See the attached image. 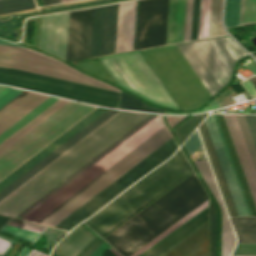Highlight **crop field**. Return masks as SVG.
Returning a JSON list of instances; mask_svg holds the SVG:
<instances>
[{
    "label": "crop field",
    "instance_id": "crop-field-1",
    "mask_svg": "<svg viewBox=\"0 0 256 256\" xmlns=\"http://www.w3.org/2000/svg\"><path fill=\"white\" fill-rule=\"evenodd\" d=\"M147 116L149 115L119 111L1 200L0 213L16 217ZM154 117L156 116L147 117L17 217L25 216Z\"/></svg>",
    "mask_w": 256,
    "mask_h": 256
},
{
    "label": "crop field",
    "instance_id": "crop-field-2",
    "mask_svg": "<svg viewBox=\"0 0 256 256\" xmlns=\"http://www.w3.org/2000/svg\"><path fill=\"white\" fill-rule=\"evenodd\" d=\"M163 126L161 116H157L23 219L37 222ZM170 138L164 126L38 223L54 227Z\"/></svg>",
    "mask_w": 256,
    "mask_h": 256
},
{
    "label": "crop field",
    "instance_id": "crop-field-3",
    "mask_svg": "<svg viewBox=\"0 0 256 256\" xmlns=\"http://www.w3.org/2000/svg\"><path fill=\"white\" fill-rule=\"evenodd\" d=\"M0 66L24 70L112 91H120L119 89L91 78L50 56L33 50L0 46ZM1 67L0 83L106 107H117L119 98V93L117 92Z\"/></svg>",
    "mask_w": 256,
    "mask_h": 256
},
{
    "label": "crop field",
    "instance_id": "crop-field-4",
    "mask_svg": "<svg viewBox=\"0 0 256 256\" xmlns=\"http://www.w3.org/2000/svg\"><path fill=\"white\" fill-rule=\"evenodd\" d=\"M207 198L193 173L103 239L129 256Z\"/></svg>",
    "mask_w": 256,
    "mask_h": 256
},
{
    "label": "crop field",
    "instance_id": "crop-field-5",
    "mask_svg": "<svg viewBox=\"0 0 256 256\" xmlns=\"http://www.w3.org/2000/svg\"><path fill=\"white\" fill-rule=\"evenodd\" d=\"M190 172L192 171L179 150L165 164L84 223L102 237Z\"/></svg>",
    "mask_w": 256,
    "mask_h": 256
},
{
    "label": "crop field",
    "instance_id": "crop-field-6",
    "mask_svg": "<svg viewBox=\"0 0 256 256\" xmlns=\"http://www.w3.org/2000/svg\"><path fill=\"white\" fill-rule=\"evenodd\" d=\"M118 86L158 105L180 110L140 51L99 57Z\"/></svg>",
    "mask_w": 256,
    "mask_h": 256
},
{
    "label": "crop field",
    "instance_id": "crop-field-7",
    "mask_svg": "<svg viewBox=\"0 0 256 256\" xmlns=\"http://www.w3.org/2000/svg\"><path fill=\"white\" fill-rule=\"evenodd\" d=\"M94 106L69 101L0 154V179L91 111Z\"/></svg>",
    "mask_w": 256,
    "mask_h": 256
},
{
    "label": "crop field",
    "instance_id": "crop-field-8",
    "mask_svg": "<svg viewBox=\"0 0 256 256\" xmlns=\"http://www.w3.org/2000/svg\"><path fill=\"white\" fill-rule=\"evenodd\" d=\"M215 94L230 80L236 61L248 55L229 36L181 43Z\"/></svg>",
    "mask_w": 256,
    "mask_h": 256
},
{
    "label": "crop field",
    "instance_id": "crop-field-9",
    "mask_svg": "<svg viewBox=\"0 0 256 256\" xmlns=\"http://www.w3.org/2000/svg\"><path fill=\"white\" fill-rule=\"evenodd\" d=\"M169 0H142L135 49L165 44ZM177 0L169 1L166 44L173 43ZM185 0H178L174 43L182 41Z\"/></svg>",
    "mask_w": 256,
    "mask_h": 256
},
{
    "label": "crop field",
    "instance_id": "crop-field-10",
    "mask_svg": "<svg viewBox=\"0 0 256 256\" xmlns=\"http://www.w3.org/2000/svg\"><path fill=\"white\" fill-rule=\"evenodd\" d=\"M176 148L177 145L171 138L55 227L71 229L72 226L95 213L148 171L157 167L172 155Z\"/></svg>",
    "mask_w": 256,
    "mask_h": 256
},
{
    "label": "crop field",
    "instance_id": "crop-field-11",
    "mask_svg": "<svg viewBox=\"0 0 256 256\" xmlns=\"http://www.w3.org/2000/svg\"><path fill=\"white\" fill-rule=\"evenodd\" d=\"M94 8L70 12L66 59L89 57Z\"/></svg>",
    "mask_w": 256,
    "mask_h": 256
},
{
    "label": "crop field",
    "instance_id": "crop-field-12",
    "mask_svg": "<svg viewBox=\"0 0 256 256\" xmlns=\"http://www.w3.org/2000/svg\"><path fill=\"white\" fill-rule=\"evenodd\" d=\"M117 8L118 4L95 8L90 57L113 53Z\"/></svg>",
    "mask_w": 256,
    "mask_h": 256
},
{
    "label": "crop field",
    "instance_id": "crop-field-13",
    "mask_svg": "<svg viewBox=\"0 0 256 256\" xmlns=\"http://www.w3.org/2000/svg\"><path fill=\"white\" fill-rule=\"evenodd\" d=\"M69 12L43 17L40 48L65 59ZM40 49V50H41Z\"/></svg>",
    "mask_w": 256,
    "mask_h": 256
},
{
    "label": "crop field",
    "instance_id": "crop-field-14",
    "mask_svg": "<svg viewBox=\"0 0 256 256\" xmlns=\"http://www.w3.org/2000/svg\"><path fill=\"white\" fill-rule=\"evenodd\" d=\"M116 112L118 111L108 109L99 117H97L94 121H92L90 124L84 127L81 131H79L77 134L71 137L68 141H66L64 144L58 147L55 151H53L51 154L45 157L42 161H40L38 164L32 167L29 171H27L25 174H23L13 183L7 186L5 189H3L0 192V200L7 196L9 193H11L13 190H15L17 187H19L22 183H24L26 180H28L42 168H44L46 165H48L50 162H52L55 158H57L59 155H61L63 152H65L67 149H69L71 146L77 143L79 140H81L83 137H85L88 133H90L92 130H94L96 127H98L108 118H110Z\"/></svg>",
    "mask_w": 256,
    "mask_h": 256
},
{
    "label": "crop field",
    "instance_id": "crop-field-15",
    "mask_svg": "<svg viewBox=\"0 0 256 256\" xmlns=\"http://www.w3.org/2000/svg\"><path fill=\"white\" fill-rule=\"evenodd\" d=\"M105 110L107 109L101 108V107H98L97 109H95L85 118H83L81 121L75 124L72 128H70L68 131H66L64 134H62L60 137H58L56 140L50 143L47 147H45L43 150H41L39 153H37L35 156H33L23 165H21L18 169H16L14 172H12L6 178L0 181V191L3 188H5L7 185H9L11 182H13L15 179H17L19 176H21L23 173H25L27 170H29L32 166H34L40 160H42L45 156H47L53 150H55L58 146H60L62 143L68 140L71 136H73L75 133L81 130L84 126H86L88 123L94 120L97 116H99Z\"/></svg>",
    "mask_w": 256,
    "mask_h": 256
},
{
    "label": "crop field",
    "instance_id": "crop-field-16",
    "mask_svg": "<svg viewBox=\"0 0 256 256\" xmlns=\"http://www.w3.org/2000/svg\"><path fill=\"white\" fill-rule=\"evenodd\" d=\"M158 256H207V220Z\"/></svg>",
    "mask_w": 256,
    "mask_h": 256
},
{
    "label": "crop field",
    "instance_id": "crop-field-17",
    "mask_svg": "<svg viewBox=\"0 0 256 256\" xmlns=\"http://www.w3.org/2000/svg\"><path fill=\"white\" fill-rule=\"evenodd\" d=\"M48 96L24 91L0 108V133L34 109Z\"/></svg>",
    "mask_w": 256,
    "mask_h": 256
},
{
    "label": "crop field",
    "instance_id": "crop-field-18",
    "mask_svg": "<svg viewBox=\"0 0 256 256\" xmlns=\"http://www.w3.org/2000/svg\"><path fill=\"white\" fill-rule=\"evenodd\" d=\"M212 142L214 144L218 159L220 161L224 176L231 192L235 207L239 216H248L244 207L240 192L238 190L234 175L232 173L228 158L226 156L222 141L220 139L213 116L209 115L205 120Z\"/></svg>",
    "mask_w": 256,
    "mask_h": 256
},
{
    "label": "crop field",
    "instance_id": "crop-field-19",
    "mask_svg": "<svg viewBox=\"0 0 256 256\" xmlns=\"http://www.w3.org/2000/svg\"><path fill=\"white\" fill-rule=\"evenodd\" d=\"M137 1L119 4L114 53L132 49Z\"/></svg>",
    "mask_w": 256,
    "mask_h": 256
},
{
    "label": "crop field",
    "instance_id": "crop-field-20",
    "mask_svg": "<svg viewBox=\"0 0 256 256\" xmlns=\"http://www.w3.org/2000/svg\"><path fill=\"white\" fill-rule=\"evenodd\" d=\"M256 206V175L234 115H223Z\"/></svg>",
    "mask_w": 256,
    "mask_h": 256
},
{
    "label": "crop field",
    "instance_id": "crop-field-21",
    "mask_svg": "<svg viewBox=\"0 0 256 256\" xmlns=\"http://www.w3.org/2000/svg\"><path fill=\"white\" fill-rule=\"evenodd\" d=\"M194 164L197 167L200 174L202 175L209 189L213 193L214 197L216 198L222 210V216H223L222 256H230L231 251L236 243V239L233 234L232 228L230 226L229 220L227 218L225 209L223 207L208 161L207 160L196 161L194 162Z\"/></svg>",
    "mask_w": 256,
    "mask_h": 256
},
{
    "label": "crop field",
    "instance_id": "crop-field-22",
    "mask_svg": "<svg viewBox=\"0 0 256 256\" xmlns=\"http://www.w3.org/2000/svg\"><path fill=\"white\" fill-rule=\"evenodd\" d=\"M199 131L207 152V155L209 157L210 163L212 165L214 174L216 176L217 182L219 184L222 196L224 198L227 210L229 212L230 216H238L236 209L234 207L231 195L229 193L225 178L223 176L219 161L217 159L214 147L212 145L208 130L206 128L205 122H203L200 127H199Z\"/></svg>",
    "mask_w": 256,
    "mask_h": 256
},
{
    "label": "crop field",
    "instance_id": "crop-field-23",
    "mask_svg": "<svg viewBox=\"0 0 256 256\" xmlns=\"http://www.w3.org/2000/svg\"><path fill=\"white\" fill-rule=\"evenodd\" d=\"M95 235L80 225L54 251L60 256H75Z\"/></svg>",
    "mask_w": 256,
    "mask_h": 256
},
{
    "label": "crop field",
    "instance_id": "crop-field-24",
    "mask_svg": "<svg viewBox=\"0 0 256 256\" xmlns=\"http://www.w3.org/2000/svg\"><path fill=\"white\" fill-rule=\"evenodd\" d=\"M216 116H217L218 122H219V124H220V127H221V130H222L224 139H225V141H226V144H227V147H228L230 156H231V158H232V161H233V164H234L236 173H237V175H238V178H239V181H240L242 190H243V192H244V195H245L247 204H248V206H249L251 215H252V216H256V209H255L256 206L254 207V204H253V201H252L250 192H249V190H248V187H247V184H246L244 175H243V173H242V170H241V167H240L238 158H237V156H236V153H235V150H234L232 141H231V139H230V136H229V133H228L226 124H225V122H224L223 116H222V115H216Z\"/></svg>",
    "mask_w": 256,
    "mask_h": 256
},
{
    "label": "crop field",
    "instance_id": "crop-field-25",
    "mask_svg": "<svg viewBox=\"0 0 256 256\" xmlns=\"http://www.w3.org/2000/svg\"><path fill=\"white\" fill-rule=\"evenodd\" d=\"M13 218H11L1 229L0 231L1 232H4L8 235H11L13 237H16L18 239H21L25 242H28L30 244H32L46 229L47 227L44 228V226H40V225H36V224H32V223H28V222H24V221H20V220H16L14 219L12 222H16V223H19V224H23V225H26V226H29V227H33V228H36V229H40L43 230L40 232V230H36V229H33V228H29V227H26V226H23V225H19V224H16V223H12L10 222ZM10 222L9 226H13V227H17V228H21V229H25V230H29V231H33V232H37V233H33V232H29V231H25V230H21V229H17V228H13V227H9L7 226L8 223Z\"/></svg>",
    "mask_w": 256,
    "mask_h": 256
},
{
    "label": "crop field",
    "instance_id": "crop-field-26",
    "mask_svg": "<svg viewBox=\"0 0 256 256\" xmlns=\"http://www.w3.org/2000/svg\"><path fill=\"white\" fill-rule=\"evenodd\" d=\"M66 102H68V101L60 99L55 104H53L51 107H49L47 110H45L43 113H41L39 116H37L35 119H33L30 123H28L22 129H20L14 135H12L10 138H8L6 141H4L2 144H0V153L3 152L5 149H7L14 142H16L18 139H20L23 135H25L31 129H33L36 125H38L40 122H42L45 118H47L49 115H51L53 112H55L58 108H60Z\"/></svg>",
    "mask_w": 256,
    "mask_h": 256
},
{
    "label": "crop field",
    "instance_id": "crop-field-27",
    "mask_svg": "<svg viewBox=\"0 0 256 256\" xmlns=\"http://www.w3.org/2000/svg\"><path fill=\"white\" fill-rule=\"evenodd\" d=\"M205 219H207V210H205L203 213H201L199 216L194 218L192 221H190L188 224L183 226L181 229H179L177 232L172 234L170 237L165 239L163 242H161L159 245L154 247L152 250H150L148 253H146L143 256H156L159 253H161L163 250H165L167 247H169L171 244H173L175 241L180 239L182 236H184L186 233H188L190 230L195 228L197 225H199L201 222H203ZM206 221V220H205Z\"/></svg>",
    "mask_w": 256,
    "mask_h": 256
},
{
    "label": "crop field",
    "instance_id": "crop-field-28",
    "mask_svg": "<svg viewBox=\"0 0 256 256\" xmlns=\"http://www.w3.org/2000/svg\"><path fill=\"white\" fill-rule=\"evenodd\" d=\"M238 243H256V218H230Z\"/></svg>",
    "mask_w": 256,
    "mask_h": 256
},
{
    "label": "crop field",
    "instance_id": "crop-field-29",
    "mask_svg": "<svg viewBox=\"0 0 256 256\" xmlns=\"http://www.w3.org/2000/svg\"><path fill=\"white\" fill-rule=\"evenodd\" d=\"M57 100H59V99L53 98V97L48 98L46 101H44L42 104H40L34 110H32L30 113L25 115L23 118H21L15 124H13L7 130H5L3 133H1L0 134V143H2L8 137H10L12 134H14L16 131H18L20 128H22L24 125H26L29 121H31L33 118H35L41 112H43L45 109H47L53 103H55Z\"/></svg>",
    "mask_w": 256,
    "mask_h": 256
},
{
    "label": "crop field",
    "instance_id": "crop-field-30",
    "mask_svg": "<svg viewBox=\"0 0 256 256\" xmlns=\"http://www.w3.org/2000/svg\"><path fill=\"white\" fill-rule=\"evenodd\" d=\"M222 2L223 0H211L208 37L225 34L221 25Z\"/></svg>",
    "mask_w": 256,
    "mask_h": 256
},
{
    "label": "crop field",
    "instance_id": "crop-field-31",
    "mask_svg": "<svg viewBox=\"0 0 256 256\" xmlns=\"http://www.w3.org/2000/svg\"><path fill=\"white\" fill-rule=\"evenodd\" d=\"M256 173V147L244 115H235Z\"/></svg>",
    "mask_w": 256,
    "mask_h": 256
},
{
    "label": "crop field",
    "instance_id": "crop-field-32",
    "mask_svg": "<svg viewBox=\"0 0 256 256\" xmlns=\"http://www.w3.org/2000/svg\"><path fill=\"white\" fill-rule=\"evenodd\" d=\"M119 108L132 109V110L139 109L141 111H150V112H159V113L164 112V109L149 106L124 92H122V94H121Z\"/></svg>",
    "mask_w": 256,
    "mask_h": 256
},
{
    "label": "crop field",
    "instance_id": "crop-field-33",
    "mask_svg": "<svg viewBox=\"0 0 256 256\" xmlns=\"http://www.w3.org/2000/svg\"><path fill=\"white\" fill-rule=\"evenodd\" d=\"M205 206H207V201H205L203 204H201L200 206H198L196 209H194L193 211H191L189 214H187L186 216H184L182 219H180L179 221H177L175 224H173L172 226H170L168 229H166L164 232H162L161 234H159L157 237H155L154 239H152L150 242H148L147 244H145L143 247H141L140 249H138L136 252H134L133 254H131L130 256H138L140 253H142L143 251H145L147 248H149L150 246H152L154 243H156L158 240H160L161 238H163L165 235H167L169 232H171L172 230H174L176 227H178L179 225H181L183 222H185L187 219H189L190 217H192L194 214H196L197 212H199L201 209H203Z\"/></svg>",
    "mask_w": 256,
    "mask_h": 256
},
{
    "label": "crop field",
    "instance_id": "crop-field-34",
    "mask_svg": "<svg viewBox=\"0 0 256 256\" xmlns=\"http://www.w3.org/2000/svg\"><path fill=\"white\" fill-rule=\"evenodd\" d=\"M256 23V0H241L239 26Z\"/></svg>",
    "mask_w": 256,
    "mask_h": 256
},
{
    "label": "crop field",
    "instance_id": "crop-field-35",
    "mask_svg": "<svg viewBox=\"0 0 256 256\" xmlns=\"http://www.w3.org/2000/svg\"><path fill=\"white\" fill-rule=\"evenodd\" d=\"M35 8L32 0H0V14Z\"/></svg>",
    "mask_w": 256,
    "mask_h": 256
},
{
    "label": "crop field",
    "instance_id": "crop-field-36",
    "mask_svg": "<svg viewBox=\"0 0 256 256\" xmlns=\"http://www.w3.org/2000/svg\"><path fill=\"white\" fill-rule=\"evenodd\" d=\"M240 0H227L225 25L226 27H236L239 21Z\"/></svg>",
    "mask_w": 256,
    "mask_h": 256
},
{
    "label": "crop field",
    "instance_id": "crop-field-37",
    "mask_svg": "<svg viewBox=\"0 0 256 256\" xmlns=\"http://www.w3.org/2000/svg\"><path fill=\"white\" fill-rule=\"evenodd\" d=\"M205 115L206 114L192 116L184 123H182L180 126H178L176 129H174L181 143Z\"/></svg>",
    "mask_w": 256,
    "mask_h": 256
},
{
    "label": "crop field",
    "instance_id": "crop-field-38",
    "mask_svg": "<svg viewBox=\"0 0 256 256\" xmlns=\"http://www.w3.org/2000/svg\"><path fill=\"white\" fill-rule=\"evenodd\" d=\"M210 0H201L198 39L207 37Z\"/></svg>",
    "mask_w": 256,
    "mask_h": 256
},
{
    "label": "crop field",
    "instance_id": "crop-field-39",
    "mask_svg": "<svg viewBox=\"0 0 256 256\" xmlns=\"http://www.w3.org/2000/svg\"><path fill=\"white\" fill-rule=\"evenodd\" d=\"M216 223L215 209L213 202L210 201V256H215Z\"/></svg>",
    "mask_w": 256,
    "mask_h": 256
},
{
    "label": "crop field",
    "instance_id": "crop-field-40",
    "mask_svg": "<svg viewBox=\"0 0 256 256\" xmlns=\"http://www.w3.org/2000/svg\"><path fill=\"white\" fill-rule=\"evenodd\" d=\"M193 0H186L183 41L189 40Z\"/></svg>",
    "mask_w": 256,
    "mask_h": 256
},
{
    "label": "crop field",
    "instance_id": "crop-field-41",
    "mask_svg": "<svg viewBox=\"0 0 256 256\" xmlns=\"http://www.w3.org/2000/svg\"><path fill=\"white\" fill-rule=\"evenodd\" d=\"M200 0H194L190 40L197 39Z\"/></svg>",
    "mask_w": 256,
    "mask_h": 256
},
{
    "label": "crop field",
    "instance_id": "crop-field-42",
    "mask_svg": "<svg viewBox=\"0 0 256 256\" xmlns=\"http://www.w3.org/2000/svg\"><path fill=\"white\" fill-rule=\"evenodd\" d=\"M183 146L187 150L189 155L195 150L202 149L203 147L201 145L198 132L195 131Z\"/></svg>",
    "mask_w": 256,
    "mask_h": 256
},
{
    "label": "crop field",
    "instance_id": "crop-field-43",
    "mask_svg": "<svg viewBox=\"0 0 256 256\" xmlns=\"http://www.w3.org/2000/svg\"><path fill=\"white\" fill-rule=\"evenodd\" d=\"M11 87H1L0 86V96L3 95L5 92H7ZM22 90L14 89L12 88L7 93H5L3 96L0 97V107H2L4 104H6L8 101H10L12 98L20 94Z\"/></svg>",
    "mask_w": 256,
    "mask_h": 256
},
{
    "label": "crop field",
    "instance_id": "crop-field-44",
    "mask_svg": "<svg viewBox=\"0 0 256 256\" xmlns=\"http://www.w3.org/2000/svg\"><path fill=\"white\" fill-rule=\"evenodd\" d=\"M233 255H256V244H238Z\"/></svg>",
    "mask_w": 256,
    "mask_h": 256
},
{
    "label": "crop field",
    "instance_id": "crop-field-45",
    "mask_svg": "<svg viewBox=\"0 0 256 256\" xmlns=\"http://www.w3.org/2000/svg\"><path fill=\"white\" fill-rule=\"evenodd\" d=\"M101 242L102 241L95 236L76 256H89Z\"/></svg>",
    "mask_w": 256,
    "mask_h": 256
},
{
    "label": "crop field",
    "instance_id": "crop-field-46",
    "mask_svg": "<svg viewBox=\"0 0 256 256\" xmlns=\"http://www.w3.org/2000/svg\"><path fill=\"white\" fill-rule=\"evenodd\" d=\"M213 116H214L215 122H216V124H217V127H218V130H219V133H220L221 139H222V141H223V144H224V147H225V150H226L227 156H228V158H229V161H230V164H231V167H232L233 173H234V175H235V178H236V181H237V184H238L239 190H240V192H241V195H242V198H243V201H244L245 207H246V209H247L248 215H249V216H251V215H250V212H249V209H248V207H249V206L247 207V204H246V201H245V198H244L243 192H242V190H241V187H240V184H239V181H238L237 175H236V173H235V170H234V167H233V164H232L231 158H230V156H229V153H228V150H227V147H226L225 141H224V139H223V136H222V133H221V130H220L219 124H218V122H217L216 116H215V115H213Z\"/></svg>",
    "mask_w": 256,
    "mask_h": 256
},
{
    "label": "crop field",
    "instance_id": "crop-field-47",
    "mask_svg": "<svg viewBox=\"0 0 256 256\" xmlns=\"http://www.w3.org/2000/svg\"><path fill=\"white\" fill-rule=\"evenodd\" d=\"M246 119H247L253 139L256 144V116H246Z\"/></svg>",
    "mask_w": 256,
    "mask_h": 256
},
{
    "label": "crop field",
    "instance_id": "crop-field-48",
    "mask_svg": "<svg viewBox=\"0 0 256 256\" xmlns=\"http://www.w3.org/2000/svg\"><path fill=\"white\" fill-rule=\"evenodd\" d=\"M205 209H207V207H205L203 210H201L199 213H197L196 215H194L192 218H190L189 220H187L185 223H183L181 226H179L178 228H176L174 231H172L170 234H168L167 236H165L163 239H161L160 241H158L156 244H154L152 247H150L149 249H147L145 252H143L142 254H140L139 256H142L143 254H145L146 252H148L150 249H152L154 246H156L157 244H159L161 241H163L165 238H167L168 236H170L172 233H174L175 231H177L179 228H181L183 225H185L186 223H188L190 220H192L194 217H196L197 215H199L201 212H203Z\"/></svg>",
    "mask_w": 256,
    "mask_h": 256
},
{
    "label": "crop field",
    "instance_id": "crop-field-49",
    "mask_svg": "<svg viewBox=\"0 0 256 256\" xmlns=\"http://www.w3.org/2000/svg\"><path fill=\"white\" fill-rule=\"evenodd\" d=\"M108 248L109 247L102 242L90 256H102L108 250Z\"/></svg>",
    "mask_w": 256,
    "mask_h": 256
},
{
    "label": "crop field",
    "instance_id": "crop-field-50",
    "mask_svg": "<svg viewBox=\"0 0 256 256\" xmlns=\"http://www.w3.org/2000/svg\"><path fill=\"white\" fill-rule=\"evenodd\" d=\"M10 244V241H8V240H5V239H3V238H0V253L2 254L4 251H5V249L8 247V245ZM11 244H12V242H11ZM11 244L9 245V247L6 249V251L4 252V254L7 252V250L10 248V246H11ZM0 254V256H3V255H1Z\"/></svg>",
    "mask_w": 256,
    "mask_h": 256
},
{
    "label": "crop field",
    "instance_id": "crop-field-51",
    "mask_svg": "<svg viewBox=\"0 0 256 256\" xmlns=\"http://www.w3.org/2000/svg\"><path fill=\"white\" fill-rule=\"evenodd\" d=\"M242 84H243V85L245 86V88L251 93V95H252L253 97H256V89H255V87L250 83L249 80L243 82Z\"/></svg>",
    "mask_w": 256,
    "mask_h": 256
},
{
    "label": "crop field",
    "instance_id": "crop-field-52",
    "mask_svg": "<svg viewBox=\"0 0 256 256\" xmlns=\"http://www.w3.org/2000/svg\"><path fill=\"white\" fill-rule=\"evenodd\" d=\"M185 117L187 116H183V117H167V120L171 126V128L173 126H175L177 123H179L181 120H183Z\"/></svg>",
    "mask_w": 256,
    "mask_h": 256
},
{
    "label": "crop field",
    "instance_id": "crop-field-53",
    "mask_svg": "<svg viewBox=\"0 0 256 256\" xmlns=\"http://www.w3.org/2000/svg\"><path fill=\"white\" fill-rule=\"evenodd\" d=\"M219 105L217 103L215 104H211V105H208L206 106L205 108L199 110V111H196V112H185V113H174V112H171L169 111V114H188V113H198V112H202V111H206V110H209V109H212V108H215V107H218Z\"/></svg>",
    "mask_w": 256,
    "mask_h": 256
},
{
    "label": "crop field",
    "instance_id": "crop-field-54",
    "mask_svg": "<svg viewBox=\"0 0 256 256\" xmlns=\"http://www.w3.org/2000/svg\"><path fill=\"white\" fill-rule=\"evenodd\" d=\"M62 2L65 1H71V0H61ZM60 0H41L43 5L52 4V3H58L61 2Z\"/></svg>",
    "mask_w": 256,
    "mask_h": 256
},
{
    "label": "crop field",
    "instance_id": "crop-field-55",
    "mask_svg": "<svg viewBox=\"0 0 256 256\" xmlns=\"http://www.w3.org/2000/svg\"><path fill=\"white\" fill-rule=\"evenodd\" d=\"M9 219H10V217H6V216L0 215V227H1L3 224H5Z\"/></svg>",
    "mask_w": 256,
    "mask_h": 256
},
{
    "label": "crop field",
    "instance_id": "crop-field-56",
    "mask_svg": "<svg viewBox=\"0 0 256 256\" xmlns=\"http://www.w3.org/2000/svg\"><path fill=\"white\" fill-rule=\"evenodd\" d=\"M29 251H30V248L24 246V248L22 249V251L20 252V254L18 256H26Z\"/></svg>",
    "mask_w": 256,
    "mask_h": 256
},
{
    "label": "crop field",
    "instance_id": "crop-field-57",
    "mask_svg": "<svg viewBox=\"0 0 256 256\" xmlns=\"http://www.w3.org/2000/svg\"><path fill=\"white\" fill-rule=\"evenodd\" d=\"M28 256H47L32 249Z\"/></svg>",
    "mask_w": 256,
    "mask_h": 256
},
{
    "label": "crop field",
    "instance_id": "crop-field-58",
    "mask_svg": "<svg viewBox=\"0 0 256 256\" xmlns=\"http://www.w3.org/2000/svg\"><path fill=\"white\" fill-rule=\"evenodd\" d=\"M0 44L19 46V45L11 44V43H9V42H7V41H4V40H0Z\"/></svg>",
    "mask_w": 256,
    "mask_h": 256
},
{
    "label": "crop field",
    "instance_id": "crop-field-59",
    "mask_svg": "<svg viewBox=\"0 0 256 256\" xmlns=\"http://www.w3.org/2000/svg\"><path fill=\"white\" fill-rule=\"evenodd\" d=\"M115 256H121L117 251H115L112 247L109 249Z\"/></svg>",
    "mask_w": 256,
    "mask_h": 256
},
{
    "label": "crop field",
    "instance_id": "crop-field-60",
    "mask_svg": "<svg viewBox=\"0 0 256 256\" xmlns=\"http://www.w3.org/2000/svg\"><path fill=\"white\" fill-rule=\"evenodd\" d=\"M250 81L253 83V85L256 87V77L250 79Z\"/></svg>",
    "mask_w": 256,
    "mask_h": 256
}]
</instances>
